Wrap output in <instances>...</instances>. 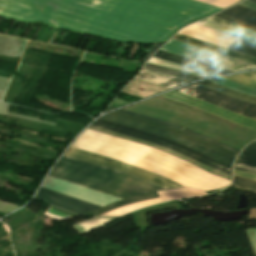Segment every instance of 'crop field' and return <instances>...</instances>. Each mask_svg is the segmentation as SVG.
Segmentation results:
<instances>
[{"label":"crop field","instance_id":"obj_18","mask_svg":"<svg viewBox=\"0 0 256 256\" xmlns=\"http://www.w3.org/2000/svg\"><path fill=\"white\" fill-rule=\"evenodd\" d=\"M196 84L201 85V86H204V87L209 88V89H212V90H215V91H217V92L226 94V95H228V96L237 98V99H239V100L256 104V98H255V97H251V96H248V95H245V94H242V93H239V92H236V91H233V90H230V89L221 87V86L216 85V84H213V83H211V82L202 81V82H197Z\"/></svg>","mask_w":256,"mask_h":256},{"label":"crop field","instance_id":"obj_22","mask_svg":"<svg viewBox=\"0 0 256 256\" xmlns=\"http://www.w3.org/2000/svg\"><path fill=\"white\" fill-rule=\"evenodd\" d=\"M231 185L237 186L241 190L256 193V181L254 180L233 175V183Z\"/></svg>","mask_w":256,"mask_h":256},{"label":"crop field","instance_id":"obj_29","mask_svg":"<svg viewBox=\"0 0 256 256\" xmlns=\"http://www.w3.org/2000/svg\"><path fill=\"white\" fill-rule=\"evenodd\" d=\"M164 43L162 42H156L153 44L151 50L149 51V53L146 55V57L144 58L143 62H145L161 45H163Z\"/></svg>","mask_w":256,"mask_h":256},{"label":"crop field","instance_id":"obj_30","mask_svg":"<svg viewBox=\"0 0 256 256\" xmlns=\"http://www.w3.org/2000/svg\"><path fill=\"white\" fill-rule=\"evenodd\" d=\"M240 5L250 8V9H253V10H256V4L248 2V1H243Z\"/></svg>","mask_w":256,"mask_h":256},{"label":"crop field","instance_id":"obj_19","mask_svg":"<svg viewBox=\"0 0 256 256\" xmlns=\"http://www.w3.org/2000/svg\"><path fill=\"white\" fill-rule=\"evenodd\" d=\"M208 81H211V82L219 84L221 86H224V87H227V88H230V89H233V90H236V91H239V92H242V93H245V94L256 97V90L255 89L229 82V81H227L223 78H216V79H212V80H208Z\"/></svg>","mask_w":256,"mask_h":256},{"label":"crop field","instance_id":"obj_10","mask_svg":"<svg viewBox=\"0 0 256 256\" xmlns=\"http://www.w3.org/2000/svg\"><path fill=\"white\" fill-rule=\"evenodd\" d=\"M88 129H91V130L97 131V132H101V133H105V134H109V135H112V136H115V137H119V138H122V139L130 140V141H133V142H137V143H140V144H144V145H147V146L159 149V150H161V151H163L165 153H168V154H170V155H172L174 157H177L179 159L187 161V162H189V163H191V164H193V165H195V166H197V167H199V168H201V169H203V170H205V171H207V172H209L211 174H214V175H216V176H218L220 178H223V179L231 181V177L226 175V174H224V173H221V172H218L216 170H213V169H211V168H209V167H207V166H205V165H203L201 163H198V162L193 161V160H191L189 158L181 156V155H179V154H177V153H175V152H173L171 150H168V149L163 148L161 146H158L156 144H153V143H150V142H146V141H142V140H138V139H135V138H132V137H128V136H125V135L117 134V133H114V132H111V131H108V130H105V129H102V128H98V127H95V126H90Z\"/></svg>","mask_w":256,"mask_h":256},{"label":"crop field","instance_id":"obj_32","mask_svg":"<svg viewBox=\"0 0 256 256\" xmlns=\"http://www.w3.org/2000/svg\"><path fill=\"white\" fill-rule=\"evenodd\" d=\"M248 1H251V2H254V3H256V0H248Z\"/></svg>","mask_w":256,"mask_h":256},{"label":"crop field","instance_id":"obj_1","mask_svg":"<svg viewBox=\"0 0 256 256\" xmlns=\"http://www.w3.org/2000/svg\"><path fill=\"white\" fill-rule=\"evenodd\" d=\"M49 176L121 198L163 190L147 180L65 156Z\"/></svg>","mask_w":256,"mask_h":256},{"label":"crop field","instance_id":"obj_20","mask_svg":"<svg viewBox=\"0 0 256 256\" xmlns=\"http://www.w3.org/2000/svg\"><path fill=\"white\" fill-rule=\"evenodd\" d=\"M224 78L229 81L236 82L256 89V72L239 74Z\"/></svg>","mask_w":256,"mask_h":256},{"label":"crop field","instance_id":"obj_6","mask_svg":"<svg viewBox=\"0 0 256 256\" xmlns=\"http://www.w3.org/2000/svg\"><path fill=\"white\" fill-rule=\"evenodd\" d=\"M178 34L186 35L191 38L208 42L240 53H243V51L249 45V42L245 40L222 34L207 27H202L196 23L184 28L178 32Z\"/></svg>","mask_w":256,"mask_h":256},{"label":"crop field","instance_id":"obj_28","mask_svg":"<svg viewBox=\"0 0 256 256\" xmlns=\"http://www.w3.org/2000/svg\"><path fill=\"white\" fill-rule=\"evenodd\" d=\"M225 34L232 35V36H235V37H238V38H242V39H245V40H247L249 42H252V43H256V38L249 37V36H246V35H242V34H239V33H236V32H227Z\"/></svg>","mask_w":256,"mask_h":256},{"label":"crop field","instance_id":"obj_9","mask_svg":"<svg viewBox=\"0 0 256 256\" xmlns=\"http://www.w3.org/2000/svg\"><path fill=\"white\" fill-rule=\"evenodd\" d=\"M36 199L61 207L79 215L100 206L41 187Z\"/></svg>","mask_w":256,"mask_h":256},{"label":"crop field","instance_id":"obj_25","mask_svg":"<svg viewBox=\"0 0 256 256\" xmlns=\"http://www.w3.org/2000/svg\"><path fill=\"white\" fill-rule=\"evenodd\" d=\"M181 131H183V132H185V133H188V134H190V135H192V136H195V137H197V138H199V139H201V140H204V141H206V142H208V143H211V144H213V145H215V146H218V147H220V148L226 149V150L231 151V152H234V153H236V154L239 153V151H237V150H235V149H232V148L227 147V146H225V145H222V144H219V143L214 142V141H212V140H209V139H207V138H204V137H202V136H200V135H198V134H196V133H193V132H191V131H189V130H187V129H185V128L181 129Z\"/></svg>","mask_w":256,"mask_h":256},{"label":"crop field","instance_id":"obj_14","mask_svg":"<svg viewBox=\"0 0 256 256\" xmlns=\"http://www.w3.org/2000/svg\"><path fill=\"white\" fill-rule=\"evenodd\" d=\"M111 114L117 115V116H120V117H124V118H127V119H131V120H134V121H137V122H141V123H145V124H149V125H153V126L159 127L161 129H164V130H167L169 132L175 133V134H177L179 136H182V137H184V138H186L188 140L194 141L196 143L202 144L204 146H207L209 148L217 150V151H219L221 153L229 155V156H231L233 158H235V156H236V154H234V153H231V152H228L226 150H223V149H220L218 147H215V146H213L211 144H208V143H206L204 141H201V140H199V139H197L195 137H192V136H190L188 134H185V133H183L181 131H178V130L172 128V127H169V126H166V125H162V124H159V123H156V122H153V121L145 120V119H139V118H136V117H133V116H129V115H125V114H121V113H117V112H113Z\"/></svg>","mask_w":256,"mask_h":256},{"label":"crop field","instance_id":"obj_8","mask_svg":"<svg viewBox=\"0 0 256 256\" xmlns=\"http://www.w3.org/2000/svg\"><path fill=\"white\" fill-rule=\"evenodd\" d=\"M102 119H106V120H110V121H113V122H117V123H121V124H125V125H128V126H132V127H136V128H139V129H143V130H147V131H150V132H153L155 134H158V135H161L163 137H166L168 139H171L173 141H176V142H179V143H182L188 147H191L195 150H198L204 154H207L211 157H214L220 161H223V162H226L228 164H231L232 165V161H233V158L231 157H228L224 154H221L219 152H216L212 149H209L207 147H204V146H201L199 144H196L194 142H191V141H188L182 137H179L175 134H172V133H169L167 131H164V130H161L159 128H156V127H153V126H149V125H145V124H141V123H137V122H134V121H130V120H127V119H124V118H120V117H116V116H113V115H109V114H106L104 115L103 117H101Z\"/></svg>","mask_w":256,"mask_h":256},{"label":"crop field","instance_id":"obj_31","mask_svg":"<svg viewBox=\"0 0 256 256\" xmlns=\"http://www.w3.org/2000/svg\"><path fill=\"white\" fill-rule=\"evenodd\" d=\"M115 107H111V106H109V108L106 110V111H109V110H112V109H114ZM106 111H104V112H106ZM103 112V113H104Z\"/></svg>","mask_w":256,"mask_h":256},{"label":"crop field","instance_id":"obj_5","mask_svg":"<svg viewBox=\"0 0 256 256\" xmlns=\"http://www.w3.org/2000/svg\"><path fill=\"white\" fill-rule=\"evenodd\" d=\"M177 91L208 101L226 110L256 119V105L239 101L196 84L184 87Z\"/></svg>","mask_w":256,"mask_h":256},{"label":"crop field","instance_id":"obj_26","mask_svg":"<svg viewBox=\"0 0 256 256\" xmlns=\"http://www.w3.org/2000/svg\"><path fill=\"white\" fill-rule=\"evenodd\" d=\"M214 16H217V17H219V18L225 19V20L230 21V22H232V23H234V24H237V25H239V26H241V27H244V28H247V29H249V30H252V31H255V32H256V27L251 26V25H248V24H245V23L240 22V21H237V20H235V19H233V18H231V17H228V16H226V15H223V14H221V13H218V14H216V15H214Z\"/></svg>","mask_w":256,"mask_h":256},{"label":"crop field","instance_id":"obj_2","mask_svg":"<svg viewBox=\"0 0 256 256\" xmlns=\"http://www.w3.org/2000/svg\"><path fill=\"white\" fill-rule=\"evenodd\" d=\"M92 125L99 126L105 129H109L112 131H116L125 135L141 138L150 142H154L158 145L164 146L166 148H169L173 151H176L180 154H183L187 157H190L198 162H201L207 166H210L216 170L222 171L224 173H227L231 175V165H228L226 163L220 162L214 158H211L207 155H204L198 151H195L191 148H188L182 144L173 142L171 140H168L166 138H163L161 136L155 135L153 133L127 127L124 125L112 123L109 121L98 119L96 122H94Z\"/></svg>","mask_w":256,"mask_h":256},{"label":"crop field","instance_id":"obj_4","mask_svg":"<svg viewBox=\"0 0 256 256\" xmlns=\"http://www.w3.org/2000/svg\"><path fill=\"white\" fill-rule=\"evenodd\" d=\"M65 156L73 157V158H76L79 160L94 163V164L108 167L111 169L123 171V172L129 173V174L147 179V180H149L153 183H156L166 189L182 187L172 181H169L161 176L150 173L144 169H141V168L135 167L133 165L117 161V160H113V159H110L107 157H103V156L96 155L93 153L78 150L75 148L69 147V149L65 153Z\"/></svg>","mask_w":256,"mask_h":256},{"label":"crop field","instance_id":"obj_21","mask_svg":"<svg viewBox=\"0 0 256 256\" xmlns=\"http://www.w3.org/2000/svg\"><path fill=\"white\" fill-rule=\"evenodd\" d=\"M144 68L152 69V70H155V71H158V72H161V73H165V74H168V75H171V76H174V77H178V78H182V79H186V80H190V81H193V80H196V79H201L199 77H195V76H192V75H189V74H186V73L174 71V70H171V69L163 68V67L148 64V63H146L144 65Z\"/></svg>","mask_w":256,"mask_h":256},{"label":"crop field","instance_id":"obj_24","mask_svg":"<svg viewBox=\"0 0 256 256\" xmlns=\"http://www.w3.org/2000/svg\"><path fill=\"white\" fill-rule=\"evenodd\" d=\"M117 112L133 115V116H136V117H139V118H145V119L153 120V121H156V122H159V123H163V124L172 126V127L176 128L178 130H180L182 128L181 126L176 125V124L171 123V122H168V121L156 119V118H153V117L145 116V115H142V114H138V113L127 111V110H123V109H120Z\"/></svg>","mask_w":256,"mask_h":256},{"label":"crop field","instance_id":"obj_3","mask_svg":"<svg viewBox=\"0 0 256 256\" xmlns=\"http://www.w3.org/2000/svg\"><path fill=\"white\" fill-rule=\"evenodd\" d=\"M170 53L182 55L193 60L209 63L235 72L256 68V66L242 62L236 59L217 55L175 40L170 39L164 46L160 48Z\"/></svg>","mask_w":256,"mask_h":256},{"label":"crop field","instance_id":"obj_33","mask_svg":"<svg viewBox=\"0 0 256 256\" xmlns=\"http://www.w3.org/2000/svg\"><path fill=\"white\" fill-rule=\"evenodd\" d=\"M254 142H256V141H254Z\"/></svg>","mask_w":256,"mask_h":256},{"label":"crop field","instance_id":"obj_11","mask_svg":"<svg viewBox=\"0 0 256 256\" xmlns=\"http://www.w3.org/2000/svg\"><path fill=\"white\" fill-rule=\"evenodd\" d=\"M154 57H158L164 60H168L174 63H178L184 66H188L191 68H195L198 70L205 71L207 73L215 74V75H221V74H227V73H233L232 71H228L219 67H215L209 64L193 61L187 58L179 57L174 54H170L164 51L158 50Z\"/></svg>","mask_w":256,"mask_h":256},{"label":"crop field","instance_id":"obj_12","mask_svg":"<svg viewBox=\"0 0 256 256\" xmlns=\"http://www.w3.org/2000/svg\"><path fill=\"white\" fill-rule=\"evenodd\" d=\"M172 39H175V40H178V41H181V42H184V43H187V44H190V45H193V46H196V47H199V48H202V49L214 52V53H218V54L225 55L228 57L236 58V59L246 61V62L256 65L255 58H252V57H249V56H246L243 54H239V53H236L233 51L225 50V49L219 48V47L211 45V44L197 41V40H194V39H191L188 37H184V36H181L178 34H176Z\"/></svg>","mask_w":256,"mask_h":256},{"label":"crop field","instance_id":"obj_23","mask_svg":"<svg viewBox=\"0 0 256 256\" xmlns=\"http://www.w3.org/2000/svg\"><path fill=\"white\" fill-rule=\"evenodd\" d=\"M208 19L211 20V21H213V22H215V23H217V24H219V25H221V26H224V27H226V28H229V29H231V30H235V31H237V32H239V33H243V34H246V35H249V36L256 37V33H255V32H252V31H249V30H247V29L241 28V27H239V26H237V25H234V24H232V23H230V22H227V21H225V20L216 18V17H214V16H211V17H209Z\"/></svg>","mask_w":256,"mask_h":256},{"label":"crop field","instance_id":"obj_16","mask_svg":"<svg viewBox=\"0 0 256 256\" xmlns=\"http://www.w3.org/2000/svg\"><path fill=\"white\" fill-rule=\"evenodd\" d=\"M221 13L231 16V17H233L237 20L243 21L245 23L256 26V11L236 5V6L230 8V9H227Z\"/></svg>","mask_w":256,"mask_h":256},{"label":"crop field","instance_id":"obj_17","mask_svg":"<svg viewBox=\"0 0 256 256\" xmlns=\"http://www.w3.org/2000/svg\"><path fill=\"white\" fill-rule=\"evenodd\" d=\"M157 197H159V196H158V194H157L156 192L151 193V194H148V195H142V196L132 197V198H128V199H125V200H122V201H119V202H116V203H113V204L104 206V207H102V208H100V209L91 211V212L86 213V214H84V215L98 216V215H100V214H102V213H105V212H107V211H109V210H113V209L119 208V207H121V206L130 204V203H133V202L143 201V200H148V199H153V198H157Z\"/></svg>","mask_w":256,"mask_h":256},{"label":"crop field","instance_id":"obj_15","mask_svg":"<svg viewBox=\"0 0 256 256\" xmlns=\"http://www.w3.org/2000/svg\"><path fill=\"white\" fill-rule=\"evenodd\" d=\"M136 79L160 84L163 86H167L170 88L182 85L184 83L190 82L178 78H174L165 74H161L152 70L144 69L140 71V73L137 75Z\"/></svg>","mask_w":256,"mask_h":256},{"label":"crop field","instance_id":"obj_27","mask_svg":"<svg viewBox=\"0 0 256 256\" xmlns=\"http://www.w3.org/2000/svg\"><path fill=\"white\" fill-rule=\"evenodd\" d=\"M247 232H248L251 246L256 254V230H248Z\"/></svg>","mask_w":256,"mask_h":256},{"label":"crop field","instance_id":"obj_7","mask_svg":"<svg viewBox=\"0 0 256 256\" xmlns=\"http://www.w3.org/2000/svg\"><path fill=\"white\" fill-rule=\"evenodd\" d=\"M162 96H165V97L173 99L175 101L196 107L198 109H201V110H204V111H207L210 113H213L217 116H220L224 119H227V120L234 122L236 124H239L241 126L256 130V120L226 111V110L219 108L215 105H212L208 102L184 95V94L176 92V91L169 92Z\"/></svg>","mask_w":256,"mask_h":256},{"label":"crop field","instance_id":"obj_13","mask_svg":"<svg viewBox=\"0 0 256 256\" xmlns=\"http://www.w3.org/2000/svg\"><path fill=\"white\" fill-rule=\"evenodd\" d=\"M234 170L256 175V144L247 145L234 162Z\"/></svg>","mask_w":256,"mask_h":256}]
</instances>
